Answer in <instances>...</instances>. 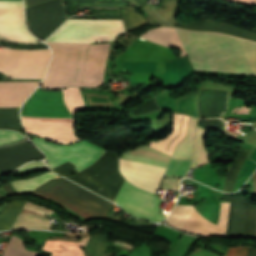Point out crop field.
<instances>
[{
	"label": "crop field",
	"mask_w": 256,
	"mask_h": 256,
	"mask_svg": "<svg viewBox=\"0 0 256 256\" xmlns=\"http://www.w3.org/2000/svg\"><path fill=\"white\" fill-rule=\"evenodd\" d=\"M62 26H123L122 20H68ZM124 27H60L46 42L94 43L114 40ZM53 51L49 72L42 87H95L103 83L106 44L47 43Z\"/></svg>",
	"instance_id": "8a807250"
},
{
	"label": "crop field",
	"mask_w": 256,
	"mask_h": 256,
	"mask_svg": "<svg viewBox=\"0 0 256 256\" xmlns=\"http://www.w3.org/2000/svg\"><path fill=\"white\" fill-rule=\"evenodd\" d=\"M141 37L188 54L195 70L236 72L256 75V43L218 33L194 32L177 28H155Z\"/></svg>",
	"instance_id": "ac0d7876"
},
{
	"label": "crop field",
	"mask_w": 256,
	"mask_h": 256,
	"mask_svg": "<svg viewBox=\"0 0 256 256\" xmlns=\"http://www.w3.org/2000/svg\"><path fill=\"white\" fill-rule=\"evenodd\" d=\"M117 154L107 150L92 165L79 173L74 169L77 166L69 161L52 170L114 201L125 181L118 171Z\"/></svg>",
	"instance_id": "34b2d1b8"
},
{
	"label": "crop field",
	"mask_w": 256,
	"mask_h": 256,
	"mask_svg": "<svg viewBox=\"0 0 256 256\" xmlns=\"http://www.w3.org/2000/svg\"><path fill=\"white\" fill-rule=\"evenodd\" d=\"M35 192L53 197L52 200L65 206L83 218L94 215L105 217L109 207L111 206V202L64 178L52 180L37 189ZM38 193L35 194L43 196ZM46 196L43 197L48 199L49 197Z\"/></svg>",
	"instance_id": "412701ff"
},
{
	"label": "crop field",
	"mask_w": 256,
	"mask_h": 256,
	"mask_svg": "<svg viewBox=\"0 0 256 256\" xmlns=\"http://www.w3.org/2000/svg\"><path fill=\"white\" fill-rule=\"evenodd\" d=\"M50 50H0V72L9 78L43 79L50 60Z\"/></svg>",
	"instance_id": "f4fd0767"
},
{
	"label": "crop field",
	"mask_w": 256,
	"mask_h": 256,
	"mask_svg": "<svg viewBox=\"0 0 256 256\" xmlns=\"http://www.w3.org/2000/svg\"><path fill=\"white\" fill-rule=\"evenodd\" d=\"M30 140L45 153L46 161L50 169L69 160L78 166L75 169L79 172L92 164L105 152V150L99 149L84 141L62 147L47 142L39 137Z\"/></svg>",
	"instance_id": "dd49c442"
},
{
	"label": "crop field",
	"mask_w": 256,
	"mask_h": 256,
	"mask_svg": "<svg viewBox=\"0 0 256 256\" xmlns=\"http://www.w3.org/2000/svg\"><path fill=\"white\" fill-rule=\"evenodd\" d=\"M229 205L230 203H221L217 226L207 221L193 206L184 205H175L167 223L193 234L224 236L226 233Z\"/></svg>",
	"instance_id": "e52e79f7"
},
{
	"label": "crop field",
	"mask_w": 256,
	"mask_h": 256,
	"mask_svg": "<svg viewBox=\"0 0 256 256\" xmlns=\"http://www.w3.org/2000/svg\"><path fill=\"white\" fill-rule=\"evenodd\" d=\"M128 213L144 219L161 222L166 216L156 214L162 200L153 194L142 191L126 182L115 201Z\"/></svg>",
	"instance_id": "d8731c3e"
},
{
	"label": "crop field",
	"mask_w": 256,
	"mask_h": 256,
	"mask_svg": "<svg viewBox=\"0 0 256 256\" xmlns=\"http://www.w3.org/2000/svg\"><path fill=\"white\" fill-rule=\"evenodd\" d=\"M25 13L31 32L42 40H45L67 19L63 0H55L26 9Z\"/></svg>",
	"instance_id": "5a996713"
},
{
	"label": "crop field",
	"mask_w": 256,
	"mask_h": 256,
	"mask_svg": "<svg viewBox=\"0 0 256 256\" xmlns=\"http://www.w3.org/2000/svg\"><path fill=\"white\" fill-rule=\"evenodd\" d=\"M0 40L14 43H43L28 33L22 1H0Z\"/></svg>",
	"instance_id": "3316defc"
},
{
	"label": "crop field",
	"mask_w": 256,
	"mask_h": 256,
	"mask_svg": "<svg viewBox=\"0 0 256 256\" xmlns=\"http://www.w3.org/2000/svg\"><path fill=\"white\" fill-rule=\"evenodd\" d=\"M224 201H231L226 235L256 234V206L245 202L243 197H225Z\"/></svg>",
	"instance_id": "28ad6ade"
},
{
	"label": "crop field",
	"mask_w": 256,
	"mask_h": 256,
	"mask_svg": "<svg viewBox=\"0 0 256 256\" xmlns=\"http://www.w3.org/2000/svg\"><path fill=\"white\" fill-rule=\"evenodd\" d=\"M119 168L127 181L153 194L165 172L164 168L122 158L119 159Z\"/></svg>",
	"instance_id": "d1516ede"
},
{
	"label": "crop field",
	"mask_w": 256,
	"mask_h": 256,
	"mask_svg": "<svg viewBox=\"0 0 256 256\" xmlns=\"http://www.w3.org/2000/svg\"><path fill=\"white\" fill-rule=\"evenodd\" d=\"M90 237H85L80 243L67 241H51L46 240L43 245V250L52 251L51 256H82L84 247ZM37 252L27 251L24 248L23 241L15 236H12L2 256H36Z\"/></svg>",
	"instance_id": "22f410ed"
},
{
	"label": "crop field",
	"mask_w": 256,
	"mask_h": 256,
	"mask_svg": "<svg viewBox=\"0 0 256 256\" xmlns=\"http://www.w3.org/2000/svg\"><path fill=\"white\" fill-rule=\"evenodd\" d=\"M32 159H42V154L28 141L0 147V170L5 173Z\"/></svg>",
	"instance_id": "cbeb9de0"
},
{
	"label": "crop field",
	"mask_w": 256,
	"mask_h": 256,
	"mask_svg": "<svg viewBox=\"0 0 256 256\" xmlns=\"http://www.w3.org/2000/svg\"><path fill=\"white\" fill-rule=\"evenodd\" d=\"M39 83L0 82V107L20 106Z\"/></svg>",
	"instance_id": "5142ce71"
},
{
	"label": "crop field",
	"mask_w": 256,
	"mask_h": 256,
	"mask_svg": "<svg viewBox=\"0 0 256 256\" xmlns=\"http://www.w3.org/2000/svg\"><path fill=\"white\" fill-rule=\"evenodd\" d=\"M123 158L165 167L170 156L161 153L147 145L125 152L121 155Z\"/></svg>",
	"instance_id": "d9b57169"
},
{
	"label": "crop field",
	"mask_w": 256,
	"mask_h": 256,
	"mask_svg": "<svg viewBox=\"0 0 256 256\" xmlns=\"http://www.w3.org/2000/svg\"><path fill=\"white\" fill-rule=\"evenodd\" d=\"M196 121L197 119L190 118L187 135L185 139L180 141L174 148L172 158L192 159Z\"/></svg>",
	"instance_id": "733c2abd"
},
{
	"label": "crop field",
	"mask_w": 256,
	"mask_h": 256,
	"mask_svg": "<svg viewBox=\"0 0 256 256\" xmlns=\"http://www.w3.org/2000/svg\"><path fill=\"white\" fill-rule=\"evenodd\" d=\"M49 223H50V220L46 218L39 217L30 213H25V214H19L12 229H21V228L48 229Z\"/></svg>",
	"instance_id": "4a817a6b"
},
{
	"label": "crop field",
	"mask_w": 256,
	"mask_h": 256,
	"mask_svg": "<svg viewBox=\"0 0 256 256\" xmlns=\"http://www.w3.org/2000/svg\"><path fill=\"white\" fill-rule=\"evenodd\" d=\"M24 204L23 201H13L3 209L0 213V230L11 228Z\"/></svg>",
	"instance_id": "bc2a9ffb"
},
{
	"label": "crop field",
	"mask_w": 256,
	"mask_h": 256,
	"mask_svg": "<svg viewBox=\"0 0 256 256\" xmlns=\"http://www.w3.org/2000/svg\"><path fill=\"white\" fill-rule=\"evenodd\" d=\"M204 132H205V129L199 126L197 127L196 145L194 149V161L191 169L197 168L209 162L208 155L203 147Z\"/></svg>",
	"instance_id": "214f88e0"
},
{
	"label": "crop field",
	"mask_w": 256,
	"mask_h": 256,
	"mask_svg": "<svg viewBox=\"0 0 256 256\" xmlns=\"http://www.w3.org/2000/svg\"><path fill=\"white\" fill-rule=\"evenodd\" d=\"M248 150L245 149H241L240 154L237 156L236 160L234 161L228 175L226 178V182H225V186H224V192H231L234 184L236 182L237 179V175L241 169V166L248 154Z\"/></svg>",
	"instance_id": "92a150f3"
},
{
	"label": "crop field",
	"mask_w": 256,
	"mask_h": 256,
	"mask_svg": "<svg viewBox=\"0 0 256 256\" xmlns=\"http://www.w3.org/2000/svg\"><path fill=\"white\" fill-rule=\"evenodd\" d=\"M19 109H0V129H11L20 132Z\"/></svg>",
	"instance_id": "dafd665d"
},
{
	"label": "crop field",
	"mask_w": 256,
	"mask_h": 256,
	"mask_svg": "<svg viewBox=\"0 0 256 256\" xmlns=\"http://www.w3.org/2000/svg\"><path fill=\"white\" fill-rule=\"evenodd\" d=\"M109 240V236L101 234H93L91 239L85 245V250L88 255L101 256L106 244Z\"/></svg>",
	"instance_id": "00972430"
},
{
	"label": "crop field",
	"mask_w": 256,
	"mask_h": 256,
	"mask_svg": "<svg viewBox=\"0 0 256 256\" xmlns=\"http://www.w3.org/2000/svg\"><path fill=\"white\" fill-rule=\"evenodd\" d=\"M219 22L213 20H202L198 22H191V23H177L173 25V27H178L182 29H190V30H204V31H213L215 32L216 28L218 27Z\"/></svg>",
	"instance_id": "a9b5d70f"
},
{
	"label": "crop field",
	"mask_w": 256,
	"mask_h": 256,
	"mask_svg": "<svg viewBox=\"0 0 256 256\" xmlns=\"http://www.w3.org/2000/svg\"><path fill=\"white\" fill-rule=\"evenodd\" d=\"M192 160H174L171 159L164 176L183 177L188 171Z\"/></svg>",
	"instance_id": "4177f3b9"
},
{
	"label": "crop field",
	"mask_w": 256,
	"mask_h": 256,
	"mask_svg": "<svg viewBox=\"0 0 256 256\" xmlns=\"http://www.w3.org/2000/svg\"><path fill=\"white\" fill-rule=\"evenodd\" d=\"M216 32L230 34V35H234V36H238V37L256 41V33L255 32L237 28L234 26H230V25H227L224 23H221V25L219 26V28L217 29Z\"/></svg>",
	"instance_id": "730fd06b"
},
{
	"label": "crop field",
	"mask_w": 256,
	"mask_h": 256,
	"mask_svg": "<svg viewBox=\"0 0 256 256\" xmlns=\"http://www.w3.org/2000/svg\"><path fill=\"white\" fill-rule=\"evenodd\" d=\"M123 21L126 31L140 27L145 24V19L138 13L126 9H122Z\"/></svg>",
	"instance_id": "eef30255"
},
{
	"label": "crop field",
	"mask_w": 256,
	"mask_h": 256,
	"mask_svg": "<svg viewBox=\"0 0 256 256\" xmlns=\"http://www.w3.org/2000/svg\"><path fill=\"white\" fill-rule=\"evenodd\" d=\"M57 177H58L57 175H55L51 172H47L43 175L36 176L32 179L19 180L17 182L32 191L35 188H37V187L43 185L44 183H46L49 179H53V178H57Z\"/></svg>",
	"instance_id": "ae1a2a85"
},
{
	"label": "crop field",
	"mask_w": 256,
	"mask_h": 256,
	"mask_svg": "<svg viewBox=\"0 0 256 256\" xmlns=\"http://www.w3.org/2000/svg\"><path fill=\"white\" fill-rule=\"evenodd\" d=\"M24 138L12 131H0V145L23 140Z\"/></svg>",
	"instance_id": "d3111659"
},
{
	"label": "crop field",
	"mask_w": 256,
	"mask_h": 256,
	"mask_svg": "<svg viewBox=\"0 0 256 256\" xmlns=\"http://www.w3.org/2000/svg\"><path fill=\"white\" fill-rule=\"evenodd\" d=\"M24 208L32 210L34 212H37V213H39V214H41L45 217L54 212V211H52V210H50V209H48L44 206L37 205V204H34V203H29V202H26Z\"/></svg>",
	"instance_id": "750c4746"
},
{
	"label": "crop field",
	"mask_w": 256,
	"mask_h": 256,
	"mask_svg": "<svg viewBox=\"0 0 256 256\" xmlns=\"http://www.w3.org/2000/svg\"><path fill=\"white\" fill-rule=\"evenodd\" d=\"M249 248L248 246L230 247L226 256H247Z\"/></svg>",
	"instance_id": "bd1437ed"
},
{
	"label": "crop field",
	"mask_w": 256,
	"mask_h": 256,
	"mask_svg": "<svg viewBox=\"0 0 256 256\" xmlns=\"http://www.w3.org/2000/svg\"><path fill=\"white\" fill-rule=\"evenodd\" d=\"M179 179L166 178L164 179V188L167 189H178Z\"/></svg>",
	"instance_id": "1d83c4d3"
},
{
	"label": "crop field",
	"mask_w": 256,
	"mask_h": 256,
	"mask_svg": "<svg viewBox=\"0 0 256 256\" xmlns=\"http://www.w3.org/2000/svg\"><path fill=\"white\" fill-rule=\"evenodd\" d=\"M44 166H46L44 162H32L20 168L19 171L24 172L26 170H30L38 167H44Z\"/></svg>",
	"instance_id": "120bbe31"
},
{
	"label": "crop field",
	"mask_w": 256,
	"mask_h": 256,
	"mask_svg": "<svg viewBox=\"0 0 256 256\" xmlns=\"http://www.w3.org/2000/svg\"><path fill=\"white\" fill-rule=\"evenodd\" d=\"M48 1H51V0H24L25 9L48 2ZM124 1H128V0H124Z\"/></svg>",
	"instance_id": "d32e631a"
},
{
	"label": "crop field",
	"mask_w": 256,
	"mask_h": 256,
	"mask_svg": "<svg viewBox=\"0 0 256 256\" xmlns=\"http://www.w3.org/2000/svg\"><path fill=\"white\" fill-rule=\"evenodd\" d=\"M190 256H216V255L212 254L209 251H205V250H202V249H197Z\"/></svg>",
	"instance_id": "5866460e"
},
{
	"label": "crop field",
	"mask_w": 256,
	"mask_h": 256,
	"mask_svg": "<svg viewBox=\"0 0 256 256\" xmlns=\"http://www.w3.org/2000/svg\"><path fill=\"white\" fill-rule=\"evenodd\" d=\"M252 193H256V172L253 175V190Z\"/></svg>",
	"instance_id": "028f5c9d"
},
{
	"label": "crop field",
	"mask_w": 256,
	"mask_h": 256,
	"mask_svg": "<svg viewBox=\"0 0 256 256\" xmlns=\"http://www.w3.org/2000/svg\"><path fill=\"white\" fill-rule=\"evenodd\" d=\"M248 256H256V249L251 247Z\"/></svg>",
	"instance_id": "e1f06a70"
},
{
	"label": "crop field",
	"mask_w": 256,
	"mask_h": 256,
	"mask_svg": "<svg viewBox=\"0 0 256 256\" xmlns=\"http://www.w3.org/2000/svg\"><path fill=\"white\" fill-rule=\"evenodd\" d=\"M134 1L142 5L143 7L147 5L143 0H134Z\"/></svg>",
	"instance_id": "0bd39190"
},
{
	"label": "crop field",
	"mask_w": 256,
	"mask_h": 256,
	"mask_svg": "<svg viewBox=\"0 0 256 256\" xmlns=\"http://www.w3.org/2000/svg\"><path fill=\"white\" fill-rule=\"evenodd\" d=\"M242 1H248V2H254V3H256V0H242Z\"/></svg>",
	"instance_id": "b80d0937"
},
{
	"label": "crop field",
	"mask_w": 256,
	"mask_h": 256,
	"mask_svg": "<svg viewBox=\"0 0 256 256\" xmlns=\"http://www.w3.org/2000/svg\"><path fill=\"white\" fill-rule=\"evenodd\" d=\"M4 173L0 172V175H3Z\"/></svg>",
	"instance_id": "c035e120"
}]
</instances>
